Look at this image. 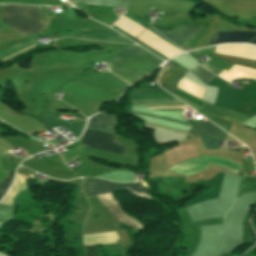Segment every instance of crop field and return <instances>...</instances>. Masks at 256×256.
<instances>
[{"mask_svg":"<svg viewBox=\"0 0 256 256\" xmlns=\"http://www.w3.org/2000/svg\"><path fill=\"white\" fill-rule=\"evenodd\" d=\"M111 70L133 84L152 73L163 61L140 47H129L108 60Z\"/></svg>","mask_w":256,"mask_h":256,"instance_id":"8a807250","label":"crop field"},{"mask_svg":"<svg viewBox=\"0 0 256 256\" xmlns=\"http://www.w3.org/2000/svg\"><path fill=\"white\" fill-rule=\"evenodd\" d=\"M240 176L224 173L219 199L186 207L193 221L223 217L232 205L239 188Z\"/></svg>","mask_w":256,"mask_h":256,"instance_id":"ac0d7876","label":"crop field"},{"mask_svg":"<svg viewBox=\"0 0 256 256\" xmlns=\"http://www.w3.org/2000/svg\"><path fill=\"white\" fill-rule=\"evenodd\" d=\"M256 199V192L244 194L237 198L234 206L224 217L223 241L215 256H221L231 251L242 242V220Z\"/></svg>","mask_w":256,"mask_h":256,"instance_id":"34b2d1b8","label":"crop field"},{"mask_svg":"<svg viewBox=\"0 0 256 256\" xmlns=\"http://www.w3.org/2000/svg\"><path fill=\"white\" fill-rule=\"evenodd\" d=\"M1 18L23 37L47 28L39 7L35 6L4 5Z\"/></svg>","mask_w":256,"mask_h":256,"instance_id":"412701ff","label":"crop field"},{"mask_svg":"<svg viewBox=\"0 0 256 256\" xmlns=\"http://www.w3.org/2000/svg\"><path fill=\"white\" fill-rule=\"evenodd\" d=\"M148 92H165V91L163 89H161L160 87L142 88V89L133 88V89L128 91V94H131V93H148ZM132 97H133V99L172 98L167 93L132 94ZM167 101H176V100L175 99L133 100V103L167 102ZM182 104H157V105H133V106H159V105H182ZM185 106H161V107H144V108H165V107H185ZM166 109H186V108H166ZM130 112H132V111H130ZM132 113L146 115V116H150V117H155V118H159V119H164V120L173 121V122L188 125L185 122L176 121V120H172V119H167V118H163V117H159V116H155V115L143 114V113H138V112H132Z\"/></svg>","mask_w":256,"mask_h":256,"instance_id":"f4fd0767","label":"crop field"},{"mask_svg":"<svg viewBox=\"0 0 256 256\" xmlns=\"http://www.w3.org/2000/svg\"><path fill=\"white\" fill-rule=\"evenodd\" d=\"M82 145L117 154H123L124 149L113 135L91 130H86L82 138Z\"/></svg>","mask_w":256,"mask_h":256,"instance_id":"dd49c442","label":"crop field"},{"mask_svg":"<svg viewBox=\"0 0 256 256\" xmlns=\"http://www.w3.org/2000/svg\"><path fill=\"white\" fill-rule=\"evenodd\" d=\"M181 70H177V69H173V68H170V67H166L164 66L161 73L159 74L156 82L161 86L163 87L164 89L166 90H169L175 76L180 73ZM185 72V71H184ZM184 72H181L180 74H178L169 90L170 93H174L175 89H176V85H177V82L180 80V78L185 74ZM176 95L188 100L189 102L199 106V107H203V105L205 103L179 91L176 89L175 93Z\"/></svg>","mask_w":256,"mask_h":256,"instance_id":"e52e79f7","label":"crop field"},{"mask_svg":"<svg viewBox=\"0 0 256 256\" xmlns=\"http://www.w3.org/2000/svg\"><path fill=\"white\" fill-rule=\"evenodd\" d=\"M222 225L203 226L200 245L194 256H213L221 241Z\"/></svg>","mask_w":256,"mask_h":256,"instance_id":"d8731c3e","label":"crop field"},{"mask_svg":"<svg viewBox=\"0 0 256 256\" xmlns=\"http://www.w3.org/2000/svg\"><path fill=\"white\" fill-rule=\"evenodd\" d=\"M123 186H125L128 190H130L132 193L136 195L143 196L146 198L150 197L147 190L142 185H133V184L114 185V184L87 181V191L89 196L106 193L113 189L120 188Z\"/></svg>","mask_w":256,"mask_h":256,"instance_id":"5a996713","label":"crop field"},{"mask_svg":"<svg viewBox=\"0 0 256 256\" xmlns=\"http://www.w3.org/2000/svg\"><path fill=\"white\" fill-rule=\"evenodd\" d=\"M99 200L105 205V207L112 213V215L120 221L122 224L127 225L129 227L138 229L143 226L140 225L136 220L127 216L120 208L119 204L112 197L111 193L98 195Z\"/></svg>","mask_w":256,"mask_h":256,"instance_id":"3316defc","label":"crop field"},{"mask_svg":"<svg viewBox=\"0 0 256 256\" xmlns=\"http://www.w3.org/2000/svg\"><path fill=\"white\" fill-rule=\"evenodd\" d=\"M203 27L195 25H183L169 32L157 29L176 45L183 47L191 38L199 32Z\"/></svg>","mask_w":256,"mask_h":256,"instance_id":"28ad6ade","label":"crop field"},{"mask_svg":"<svg viewBox=\"0 0 256 256\" xmlns=\"http://www.w3.org/2000/svg\"><path fill=\"white\" fill-rule=\"evenodd\" d=\"M187 132L194 136L208 137L213 139L225 140L227 133L215 126L209 121L198 122L195 126L189 129Z\"/></svg>","mask_w":256,"mask_h":256,"instance_id":"d1516ede","label":"crop field"},{"mask_svg":"<svg viewBox=\"0 0 256 256\" xmlns=\"http://www.w3.org/2000/svg\"><path fill=\"white\" fill-rule=\"evenodd\" d=\"M254 36L256 32H216L210 46L222 43H246Z\"/></svg>","mask_w":256,"mask_h":256,"instance_id":"22f410ed","label":"crop field"},{"mask_svg":"<svg viewBox=\"0 0 256 256\" xmlns=\"http://www.w3.org/2000/svg\"><path fill=\"white\" fill-rule=\"evenodd\" d=\"M116 125L117 118L115 115H110L102 112L91 117L86 128L112 133Z\"/></svg>","mask_w":256,"mask_h":256,"instance_id":"cbeb9de0","label":"crop field"},{"mask_svg":"<svg viewBox=\"0 0 256 256\" xmlns=\"http://www.w3.org/2000/svg\"><path fill=\"white\" fill-rule=\"evenodd\" d=\"M82 37L108 40V41H117V42H130L127 39H125L123 36L119 35L118 33L112 30L101 31V32L83 31Z\"/></svg>","mask_w":256,"mask_h":256,"instance_id":"5142ce71","label":"crop field"},{"mask_svg":"<svg viewBox=\"0 0 256 256\" xmlns=\"http://www.w3.org/2000/svg\"><path fill=\"white\" fill-rule=\"evenodd\" d=\"M32 44H34L33 41H32V37L28 38V39L25 40V41L19 42V43L13 45V46H11V47H9V48H7V49L1 51V52H0V60L3 59V58H5L6 56H8V55H10V54H12V53H14V52H17V51H19V50H21V49H23V48H26V47H28V46H30V45H32ZM32 47H35V44L32 45V46H30V47H28V48H26V49H24V50H21V51L15 53V54H13V55H11V56L5 58V59H3L2 61H5V60H7V59H9V58H11V57H13V56H15V55H17V54L23 52V51H26V50H28V49H30V48H32Z\"/></svg>","mask_w":256,"mask_h":256,"instance_id":"d9b57169","label":"crop field"},{"mask_svg":"<svg viewBox=\"0 0 256 256\" xmlns=\"http://www.w3.org/2000/svg\"><path fill=\"white\" fill-rule=\"evenodd\" d=\"M88 5H107L127 9L131 0H74Z\"/></svg>","mask_w":256,"mask_h":256,"instance_id":"733c2abd","label":"crop field"},{"mask_svg":"<svg viewBox=\"0 0 256 256\" xmlns=\"http://www.w3.org/2000/svg\"><path fill=\"white\" fill-rule=\"evenodd\" d=\"M195 76H197L205 85L209 83L213 78L216 76L212 75L211 73L203 70L200 66L194 67L190 70Z\"/></svg>","mask_w":256,"mask_h":256,"instance_id":"4a817a6b","label":"crop field"},{"mask_svg":"<svg viewBox=\"0 0 256 256\" xmlns=\"http://www.w3.org/2000/svg\"><path fill=\"white\" fill-rule=\"evenodd\" d=\"M14 210L15 207L0 204V220L3 222L0 223V226L4 225L12 218Z\"/></svg>","mask_w":256,"mask_h":256,"instance_id":"bc2a9ffb","label":"crop field"},{"mask_svg":"<svg viewBox=\"0 0 256 256\" xmlns=\"http://www.w3.org/2000/svg\"><path fill=\"white\" fill-rule=\"evenodd\" d=\"M14 172H9L7 176L0 183V195L3 196L11 182L12 176Z\"/></svg>","mask_w":256,"mask_h":256,"instance_id":"214f88e0","label":"crop field"},{"mask_svg":"<svg viewBox=\"0 0 256 256\" xmlns=\"http://www.w3.org/2000/svg\"><path fill=\"white\" fill-rule=\"evenodd\" d=\"M124 16L128 17L129 19L135 21L136 23L140 24L143 27H147L150 24V20L139 17L137 15H133V14H125Z\"/></svg>","mask_w":256,"mask_h":256,"instance_id":"92a150f3","label":"crop field"},{"mask_svg":"<svg viewBox=\"0 0 256 256\" xmlns=\"http://www.w3.org/2000/svg\"><path fill=\"white\" fill-rule=\"evenodd\" d=\"M201 66L204 67L205 69H207L208 71L216 74V75H218L220 72L223 71V70L218 69V68H216L214 66L206 65V64H203V63H201Z\"/></svg>","mask_w":256,"mask_h":256,"instance_id":"dafd665d","label":"crop field"},{"mask_svg":"<svg viewBox=\"0 0 256 256\" xmlns=\"http://www.w3.org/2000/svg\"><path fill=\"white\" fill-rule=\"evenodd\" d=\"M147 29H149L150 31H152L153 33H155L156 35H158L159 37H161L162 39L166 40L167 42H169L167 39H165L162 35H160L159 33H157L156 31H154L153 29H151L150 27H148ZM170 43V42H169ZM172 44V43H170ZM173 45V44H172ZM174 46V45H173ZM176 47V46H175ZM177 48V47H176ZM179 49V48H178ZM180 50V49H179ZM183 52V51H182Z\"/></svg>","mask_w":256,"mask_h":256,"instance_id":"00972430","label":"crop field"},{"mask_svg":"<svg viewBox=\"0 0 256 256\" xmlns=\"http://www.w3.org/2000/svg\"><path fill=\"white\" fill-rule=\"evenodd\" d=\"M40 8H41L42 13H43V15H44V12H45V10H46V7H40Z\"/></svg>","mask_w":256,"mask_h":256,"instance_id":"a9b5d70f","label":"crop field"},{"mask_svg":"<svg viewBox=\"0 0 256 256\" xmlns=\"http://www.w3.org/2000/svg\"><path fill=\"white\" fill-rule=\"evenodd\" d=\"M248 43L256 44V38H255V39H253V40H251V41H250V42H248Z\"/></svg>","mask_w":256,"mask_h":256,"instance_id":"4177f3b9","label":"crop field"}]
</instances>
